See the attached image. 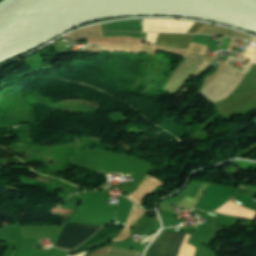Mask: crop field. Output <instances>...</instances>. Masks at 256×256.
<instances>
[{
    "label": "crop field",
    "instance_id": "obj_1",
    "mask_svg": "<svg viewBox=\"0 0 256 256\" xmlns=\"http://www.w3.org/2000/svg\"><path fill=\"white\" fill-rule=\"evenodd\" d=\"M102 226L66 223L56 247L74 250L95 234Z\"/></svg>",
    "mask_w": 256,
    "mask_h": 256
},
{
    "label": "crop field",
    "instance_id": "obj_2",
    "mask_svg": "<svg viewBox=\"0 0 256 256\" xmlns=\"http://www.w3.org/2000/svg\"><path fill=\"white\" fill-rule=\"evenodd\" d=\"M183 234L164 232L149 249L148 256H173Z\"/></svg>",
    "mask_w": 256,
    "mask_h": 256
},
{
    "label": "crop field",
    "instance_id": "obj_3",
    "mask_svg": "<svg viewBox=\"0 0 256 256\" xmlns=\"http://www.w3.org/2000/svg\"><path fill=\"white\" fill-rule=\"evenodd\" d=\"M121 229L102 227L101 230L74 251H82L103 244L119 234Z\"/></svg>",
    "mask_w": 256,
    "mask_h": 256
},
{
    "label": "crop field",
    "instance_id": "obj_4",
    "mask_svg": "<svg viewBox=\"0 0 256 256\" xmlns=\"http://www.w3.org/2000/svg\"><path fill=\"white\" fill-rule=\"evenodd\" d=\"M192 36L193 35L159 34L155 44L170 48H188Z\"/></svg>",
    "mask_w": 256,
    "mask_h": 256
},
{
    "label": "crop field",
    "instance_id": "obj_5",
    "mask_svg": "<svg viewBox=\"0 0 256 256\" xmlns=\"http://www.w3.org/2000/svg\"><path fill=\"white\" fill-rule=\"evenodd\" d=\"M202 24L195 23L194 26L189 30L188 33H194Z\"/></svg>",
    "mask_w": 256,
    "mask_h": 256
},
{
    "label": "crop field",
    "instance_id": "obj_6",
    "mask_svg": "<svg viewBox=\"0 0 256 256\" xmlns=\"http://www.w3.org/2000/svg\"><path fill=\"white\" fill-rule=\"evenodd\" d=\"M185 236H186V235L184 234L183 237H182V239H181V241H180V244H179V246H178V248H177V250H176L174 256H177V255H178L179 250H180V248H181V245H182V243H183V241H184Z\"/></svg>",
    "mask_w": 256,
    "mask_h": 256
}]
</instances>
